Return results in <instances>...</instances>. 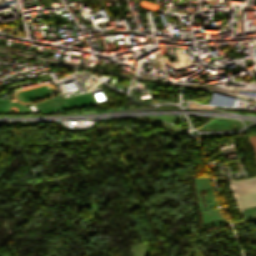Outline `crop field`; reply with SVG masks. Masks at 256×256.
Returning <instances> with one entry per match:
<instances>
[{
    "instance_id": "8a807250",
    "label": "crop field",
    "mask_w": 256,
    "mask_h": 256,
    "mask_svg": "<svg viewBox=\"0 0 256 256\" xmlns=\"http://www.w3.org/2000/svg\"><path fill=\"white\" fill-rule=\"evenodd\" d=\"M256 154V137L249 138ZM234 196H241L256 192V178L228 183ZM238 208L256 205V193L235 198ZM244 221L256 218V206L239 210Z\"/></svg>"
}]
</instances>
